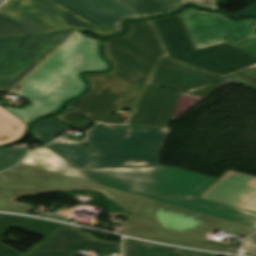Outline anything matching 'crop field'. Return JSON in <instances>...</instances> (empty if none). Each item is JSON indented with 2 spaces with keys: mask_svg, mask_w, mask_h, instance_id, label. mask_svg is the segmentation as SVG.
I'll list each match as a JSON object with an SVG mask.
<instances>
[{
  "mask_svg": "<svg viewBox=\"0 0 256 256\" xmlns=\"http://www.w3.org/2000/svg\"><path fill=\"white\" fill-rule=\"evenodd\" d=\"M216 178L176 167L75 169L46 147L30 152L0 173V209L29 213L14 202L26 195L95 190L133 215L120 234L235 253V247L205 242L213 227L248 235L256 214L196 198Z\"/></svg>",
  "mask_w": 256,
  "mask_h": 256,
  "instance_id": "obj_1",
  "label": "crop field"
},
{
  "mask_svg": "<svg viewBox=\"0 0 256 256\" xmlns=\"http://www.w3.org/2000/svg\"><path fill=\"white\" fill-rule=\"evenodd\" d=\"M108 63L99 57L98 41L75 31L48 58L18 85L13 93L31 100L23 109L3 107L29 123L32 119L56 111L61 103L85 89L80 71L105 70Z\"/></svg>",
  "mask_w": 256,
  "mask_h": 256,
  "instance_id": "obj_2",
  "label": "crop field"
},
{
  "mask_svg": "<svg viewBox=\"0 0 256 256\" xmlns=\"http://www.w3.org/2000/svg\"><path fill=\"white\" fill-rule=\"evenodd\" d=\"M104 51L113 69L106 74H86L90 92L69 104L73 111L50 118L79 129L89 127L91 122L125 123L112 117L113 109H133L154 66L105 40Z\"/></svg>",
  "mask_w": 256,
  "mask_h": 256,
  "instance_id": "obj_3",
  "label": "crop field"
},
{
  "mask_svg": "<svg viewBox=\"0 0 256 256\" xmlns=\"http://www.w3.org/2000/svg\"><path fill=\"white\" fill-rule=\"evenodd\" d=\"M89 31L99 37L116 31L60 0H10L0 8V38Z\"/></svg>",
  "mask_w": 256,
  "mask_h": 256,
  "instance_id": "obj_4",
  "label": "crop field"
},
{
  "mask_svg": "<svg viewBox=\"0 0 256 256\" xmlns=\"http://www.w3.org/2000/svg\"><path fill=\"white\" fill-rule=\"evenodd\" d=\"M170 130L98 124L89 130L85 143L95 153V166L161 165L160 153Z\"/></svg>",
  "mask_w": 256,
  "mask_h": 256,
  "instance_id": "obj_5",
  "label": "crop field"
},
{
  "mask_svg": "<svg viewBox=\"0 0 256 256\" xmlns=\"http://www.w3.org/2000/svg\"><path fill=\"white\" fill-rule=\"evenodd\" d=\"M171 58L224 75L256 63V56L226 43L196 50L178 15L153 21Z\"/></svg>",
  "mask_w": 256,
  "mask_h": 256,
  "instance_id": "obj_6",
  "label": "crop field"
},
{
  "mask_svg": "<svg viewBox=\"0 0 256 256\" xmlns=\"http://www.w3.org/2000/svg\"><path fill=\"white\" fill-rule=\"evenodd\" d=\"M73 32L0 40V92L16 86Z\"/></svg>",
  "mask_w": 256,
  "mask_h": 256,
  "instance_id": "obj_7",
  "label": "crop field"
},
{
  "mask_svg": "<svg viewBox=\"0 0 256 256\" xmlns=\"http://www.w3.org/2000/svg\"><path fill=\"white\" fill-rule=\"evenodd\" d=\"M179 15L196 49L233 40L256 29V19L235 22L223 14L194 8H187Z\"/></svg>",
  "mask_w": 256,
  "mask_h": 256,
  "instance_id": "obj_8",
  "label": "crop field"
},
{
  "mask_svg": "<svg viewBox=\"0 0 256 256\" xmlns=\"http://www.w3.org/2000/svg\"><path fill=\"white\" fill-rule=\"evenodd\" d=\"M226 80L161 57L148 83L203 97Z\"/></svg>",
  "mask_w": 256,
  "mask_h": 256,
  "instance_id": "obj_9",
  "label": "crop field"
},
{
  "mask_svg": "<svg viewBox=\"0 0 256 256\" xmlns=\"http://www.w3.org/2000/svg\"><path fill=\"white\" fill-rule=\"evenodd\" d=\"M80 249H98L101 256L111 252L120 254L119 243L101 240L78 228L63 225L21 256H75V250Z\"/></svg>",
  "mask_w": 256,
  "mask_h": 256,
  "instance_id": "obj_10",
  "label": "crop field"
},
{
  "mask_svg": "<svg viewBox=\"0 0 256 256\" xmlns=\"http://www.w3.org/2000/svg\"><path fill=\"white\" fill-rule=\"evenodd\" d=\"M198 198L256 213V177L228 170Z\"/></svg>",
  "mask_w": 256,
  "mask_h": 256,
  "instance_id": "obj_11",
  "label": "crop field"
},
{
  "mask_svg": "<svg viewBox=\"0 0 256 256\" xmlns=\"http://www.w3.org/2000/svg\"><path fill=\"white\" fill-rule=\"evenodd\" d=\"M180 92L147 84L126 125L167 128Z\"/></svg>",
  "mask_w": 256,
  "mask_h": 256,
  "instance_id": "obj_12",
  "label": "crop field"
},
{
  "mask_svg": "<svg viewBox=\"0 0 256 256\" xmlns=\"http://www.w3.org/2000/svg\"><path fill=\"white\" fill-rule=\"evenodd\" d=\"M102 21L117 31H122L121 22L126 18L141 19L139 15L114 0H65ZM68 3V4H69ZM77 8V9H78Z\"/></svg>",
  "mask_w": 256,
  "mask_h": 256,
  "instance_id": "obj_13",
  "label": "crop field"
},
{
  "mask_svg": "<svg viewBox=\"0 0 256 256\" xmlns=\"http://www.w3.org/2000/svg\"><path fill=\"white\" fill-rule=\"evenodd\" d=\"M12 226L46 237L62 225L32 218L0 215V235ZM19 255L21 254L0 243V256Z\"/></svg>",
  "mask_w": 256,
  "mask_h": 256,
  "instance_id": "obj_14",
  "label": "crop field"
},
{
  "mask_svg": "<svg viewBox=\"0 0 256 256\" xmlns=\"http://www.w3.org/2000/svg\"><path fill=\"white\" fill-rule=\"evenodd\" d=\"M46 147L76 168L94 167L91 152L83 143L57 140Z\"/></svg>",
  "mask_w": 256,
  "mask_h": 256,
  "instance_id": "obj_15",
  "label": "crop field"
},
{
  "mask_svg": "<svg viewBox=\"0 0 256 256\" xmlns=\"http://www.w3.org/2000/svg\"><path fill=\"white\" fill-rule=\"evenodd\" d=\"M128 26L129 32L126 37L160 55L168 56L151 21L129 22Z\"/></svg>",
  "mask_w": 256,
  "mask_h": 256,
  "instance_id": "obj_16",
  "label": "crop field"
},
{
  "mask_svg": "<svg viewBox=\"0 0 256 256\" xmlns=\"http://www.w3.org/2000/svg\"><path fill=\"white\" fill-rule=\"evenodd\" d=\"M124 256H217L198 252L171 250L142 242L126 239L124 241Z\"/></svg>",
  "mask_w": 256,
  "mask_h": 256,
  "instance_id": "obj_17",
  "label": "crop field"
},
{
  "mask_svg": "<svg viewBox=\"0 0 256 256\" xmlns=\"http://www.w3.org/2000/svg\"><path fill=\"white\" fill-rule=\"evenodd\" d=\"M27 124L0 107V145L11 143L21 138Z\"/></svg>",
  "mask_w": 256,
  "mask_h": 256,
  "instance_id": "obj_18",
  "label": "crop field"
},
{
  "mask_svg": "<svg viewBox=\"0 0 256 256\" xmlns=\"http://www.w3.org/2000/svg\"><path fill=\"white\" fill-rule=\"evenodd\" d=\"M107 41L117 45L118 47L130 52L131 54L141 58L142 60L154 66L160 56L124 36L108 39Z\"/></svg>",
  "mask_w": 256,
  "mask_h": 256,
  "instance_id": "obj_19",
  "label": "crop field"
},
{
  "mask_svg": "<svg viewBox=\"0 0 256 256\" xmlns=\"http://www.w3.org/2000/svg\"><path fill=\"white\" fill-rule=\"evenodd\" d=\"M65 127L60 122L43 120L33 125V132L30 135L45 145L52 142L57 134L62 132Z\"/></svg>",
  "mask_w": 256,
  "mask_h": 256,
  "instance_id": "obj_20",
  "label": "crop field"
},
{
  "mask_svg": "<svg viewBox=\"0 0 256 256\" xmlns=\"http://www.w3.org/2000/svg\"><path fill=\"white\" fill-rule=\"evenodd\" d=\"M120 4L147 18L164 14L155 0H116Z\"/></svg>",
  "mask_w": 256,
  "mask_h": 256,
  "instance_id": "obj_21",
  "label": "crop field"
},
{
  "mask_svg": "<svg viewBox=\"0 0 256 256\" xmlns=\"http://www.w3.org/2000/svg\"><path fill=\"white\" fill-rule=\"evenodd\" d=\"M26 152V146L20 148L18 152L11 151L7 148L0 149V171L17 164L22 160Z\"/></svg>",
  "mask_w": 256,
  "mask_h": 256,
  "instance_id": "obj_22",
  "label": "crop field"
},
{
  "mask_svg": "<svg viewBox=\"0 0 256 256\" xmlns=\"http://www.w3.org/2000/svg\"><path fill=\"white\" fill-rule=\"evenodd\" d=\"M245 51L253 53L256 55V32L245 35L239 39L226 42Z\"/></svg>",
  "mask_w": 256,
  "mask_h": 256,
  "instance_id": "obj_23",
  "label": "crop field"
},
{
  "mask_svg": "<svg viewBox=\"0 0 256 256\" xmlns=\"http://www.w3.org/2000/svg\"><path fill=\"white\" fill-rule=\"evenodd\" d=\"M225 77L256 87V65Z\"/></svg>",
  "mask_w": 256,
  "mask_h": 256,
  "instance_id": "obj_24",
  "label": "crop field"
},
{
  "mask_svg": "<svg viewBox=\"0 0 256 256\" xmlns=\"http://www.w3.org/2000/svg\"><path fill=\"white\" fill-rule=\"evenodd\" d=\"M158 2L166 13L173 12L183 6L179 0H158Z\"/></svg>",
  "mask_w": 256,
  "mask_h": 256,
  "instance_id": "obj_25",
  "label": "crop field"
},
{
  "mask_svg": "<svg viewBox=\"0 0 256 256\" xmlns=\"http://www.w3.org/2000/svg\"><path fill=\"white\" fill-rule=\"evenodd\" d=\"M243 248L246 254L256 255V233L244 240Z\"/></svg>",
  "mask_w": 256,
  "mask_h": 256,
  "instance_id": "obj_26",
  "label": "crop field"
},
{
  "mask_svg": "<svg viewBox=\"0 0 256 256\" xmlns=\"http://www.w3.org/2000/svg\"><path fill=\"white\" fill-rule=\"evenodd\" d=\"M183 5L193 3L208 9H218L216 0H180Z\"/></svg>",
  "mask_w": 256,
  "mask_h": 256,
  "instance_id": "obj_27",
  "label": "crop field"
},
{
  "mask_svg": "<svg viewBox=\"0 0 256 256\" xmlns=\"http://www.w3.org/2000/svg\"><path fill=\"white\" fill-rule=\"evenodd\" d=\"M248 15H256V2L249 5L248 7L244 8L243 10L237 12L236 14H234L232 16L240 17V16H248Z\"/></svg>",
  "mask_w": 256,
  "mask_h": 256,
  "instance_id": "obj_28",
  "label": "crop field"
},
{
  "mask_svg": "<svg viewBox=\"0 0 256 256\" xmlns=\"http://www.w3.org/2000/svg\"><path fill=\"white\" fill-rule=\"evenodd\" d=\"M4 0H0V3H2Z\"/></svg>",
  "mask_w": 256,
  "mask_h": 256,
  "instance_id": "obj_29",
  "label": "crop field"
}]
</instances>
